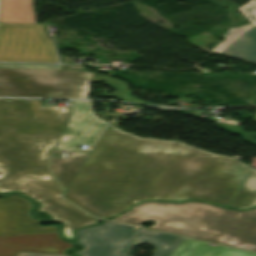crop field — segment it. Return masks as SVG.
<instances>
[{
	"label": "crop field",
	"mask_w": 256,
	"mask_h": 256,
	"mask_svg": "<svg viewBox=\"0 0 256 256\" xmlns=\"http://www.w3.org/2000/svg\"><path fill=\"white\" fill-rule=\"evenodd\" d=\"M252 167L177 141L139 138L109 125L66 191L92 216L114 217L149 199L228 207Z\"/></svg>",
	"instance_id": "1"
},
{
	"label": "crop field",
	"mask_w": 256,
	"mask_h": 256,
	"mask_svg": "<svg viewBox=\"0 0 256 256\" xmlns=\"http://www.w3.org/2000/svg\"><path fill=\"white\" fill-rule=\"evenodd\" d=\"M68 118V107L0 99V193L18 190L38 201L39 211L64 223V237L72 240L73 230L97 222L60 198L62 189L48 171L47 158Z\"/></svg>",
	"instance_id": "2"
},
{
	"label": "crop field",
	"mask_w": 256,
	"mask_h": 256,
	"mask_svg": "<svg viewBox=\"0 0 256 256\" xmlns=\"http://www.w3.org/2000/svg\"><path fill=\"white\" fill-rule=\"evenodd\" d=\"M112 220L137 226L153 220L150 229L256 252V210L238 212L199 202H145Z\"/></svg>",
	"instance_id": "3"
},
{
	"label": "crop field",
	"mask_w": 256,
	"mask_h": 256,
	"mask_svg": "<svg viewBox=\"0 0 256 256\" xmlns=\"http://www.w3.org/2000/svg\"><path fill=\"white\" fill-rule=\"evenodd\" d=\"M105 82L122 101L144 103L130 96L125 81L85 71L0 68V96L86 99L88 83Z\"/></svg>",
	"instance_id": "4"
},
{
	"label": "crop field",
	"mask_w": 256,
	"mask_h": 256,
	"mask_svg": "<svg viewBox=\"0 0 256 256\" xmlns=\"http://www.w3.org/2000/svg\"><path fill=\"white\" fill-rule=\"evenodd\" d=\"M0 61L57 62L42 25L0 24Z\"/></svg>",
	"instance_id": "5"
},
{
	"label": "crop field",
	"mask_w": 256,
	"mask_h": 256,
	"mask_svg": "<svg viewBox=\"0 0 256 256\" xmlns=\"http://www.w3.org/2000/svg\"><path fill=\"white\" fill-rule=\"evenodd\" d=\"M75 241L85 247L80 256H126L131 251L134 227L105 221L101 226L77 231Z\"/></svg>",
	"instance_id": "6"
},
{
	"label": "crop field",
	"mask_w": 256,
	"mask_h": 256,
	"mask_svg": "<svg viewBox=\"0 0 256 256\" xmlns=\"http://www.w3.org/2000/svg\"><path fill=\"white\" fill-rule=\"evenodd\" d=\"M72 119L56 149L80 151L81 144L92 145L107 122L94 116L91 101H70Z\"/></svg>",
	"instance_id": "7"
},
{
	"label": "crop field",
	"mask_w": 256,
	"mask_h": 256,
	"mask_svg": "<svg viewBox=\"0 0 256 256\" xmlns=\"http://www.w3.org/2000/svg\"><path fill=\"white\" fill-rule=\"evenodd\" d=\"M30 203L17 196L0 199V236L58 232L56 226L43 227L28 215Z\"/></svg>",
	"instance_id": "8"
},
{
	"label": "crop field",
	"mask_w": 256,
	"mask_h": 256,
	"mask_svg": "<svg viewBox=\"0 0 256 256\" xmlns=\"http://www.w3.org/2000/svg\"><path fill=\"white\" fill-rule=\"evenodd\" d=\"M73 244L60 240L58 233L0 237V251L64 254Z\"/></svg>",
	"instance_id": "9"
},
{
	"label": "crop field",
	"mask_w": 256,
	"mask_h": 256,
	"mask_svg": "<svg viewBox=\"0 0 256 256\" xmlns=\"http://www.w3.org/2000/svg\"><path fill=\"white\" fill-rule=\"evenodd\" d=\"M214 53L256 64V26L250 25L237 30Z\"/></svg>",
	"instance_id": "10"
},
{
	"label": "crop field",
	"mask_w": 256,
	"mask_h": 256,
	"mask_svg": "<svg viewBox=\"0 0 256 256\" xmlns=\"http://www.w3.org/2000/svg\"><path fill=\"white\" fill-rule=\"evenodd\" d=\"M207 244L185 238L170 256H256L255 253L247 251Z\"/></svg>",
	"instance_id": "11"
},
{
	"label": "crop field",
	"mask_w": 256,
	"mask_h": 256,
	"mask_svg": "<svg viewBox=\"0 0 256 256\" xmlns=\"http://www.w3.org/2000/svg\"><path fill=\"white\" fill-rule=\"evenodd\" d=\"M0 23L35 24L34 0H1Z\"/></svg>",
	"instance_id": "12"
},
{
	"label": "crop field",
	"mask_w": 256,
	"mask_h": 256,
	"mask_svg": "<svg viewBox=\"0 0 256 256\" xmlns=\"http://www.w3.org/2000/svg\"><path fill=\"white\" fill-rule=\"evenodd\" d=\"M184 238L138 228L135 246L148 243L156 247L153 256H169Z\"/></svg>",
	"instance_id": "13"
},
{
	"label": "crop field",
	"mask_w": 256,
	"mask_h": 256,
	"mask_svg": "<svg viewBox=\"0 0 256 256\" xmlns=\"http://www.w3.org/2000/svg\"><path fill=\"white\" fill-rule=\"evenodd\" d=\"M89 153H81L69 159L51 157L50 166L56 180L62 184L65 190L76 176Z\"/></svg>",
	"instance_id": "14"
},
{
	"label": "crop field",
	"mask_w": 256,
	"mask_h": 256,
	"mask_svg": "<svg viewBox=\"0 0 256 256\" xmlns=\"http://www.w3.org/2000/svg\"><path fill=\"white\" fill-rule=\"evenodd\" d=\"M256 206V170L252 168L241 188L229 205L230 208L245 209Z\"/></svg>",
	"instance_id": "15"
},
{
	"label": "crop field",
	"mask_w": 256,
	"mask_h": 256,
	"mask_svg": "<svg viewBox=\"0 0 256 256\" xmlns=\"http://www.w3.org/2000/svg\"><path fill=\"white\" fill-rule=\"evenodd\" d=\"M238 10L253 24H256V0H250Z\"/></svg>",
	"instance_id": "16"
},
{
	"label": "crop field",
	"mask_w": 256,
	"mask_h": 256,
	"mask_svg": "<svg viewBox=\"0 0 256 256\" xmlns=\"http://www.w3.org/2000/svg\"><path fill=\"white\" fill-rule=\"evenodd\" d=\"M0 67L62 69V65L0 63Z\"/></svg>",
	"instance_id": "17"
},
{
	"label": "crop field",
	"mask_w": 256,
	"mask_h": 256,
	"mask_svg": "<svg viewBox=\"0 0 256 256\" xmlns=\"http://www.w3.org/2000/svg\"><path fill=\"white\" fill-rule=\"evenodd\" d=\"M216 124L243 135L244 140L246 141H251L256 143V132L247 133L242 131L243 128H239V127H235V126H231V125H227L219 122H216Z\"/></svg>",
	"instance_id": "18"
},
{
	"label": "crop field",
	"mask_w": 256,
	"mask_h": 256,
	"mask_svg": "<svg viewBox=\"0 0 256 256\" xmlns=\"http://www.w3.org/2000/svg\"><path fill=\"white\" fill-rule=\"evenodd\" d=\"M18 256H68V255L34 254V253L19 252Z\"/></svg>",
	"instance_id": "19"
},
{
	"label": "crop field",
	"mask_w": 256,
	"mask_h": 256,
	"mask_svg": "<svg viewBox=\"0 0 256 256\" xmlns=\"http://www.w3.org/2000/svg\"><path fill=\"white\" fill-rule=\"evenodd\" d=\"M18 252H0V256H17Z\"/></svg>",
	"instance_id": "20"
},
{
	"label": "crop field",
	"mask_w": 256,
	"mask_h": 256,
	"mask_svg": "<svg viewBox=\"0 0 256 256\" xmlns=\"http://www.w3.org/2000/svg\"><path fill=\"white\" fill-rule=\"evenodd\" d=\"M234 29L235 27H231L223 36L226 38Z\"/></svg>",
	"instance_id": "21"
}]
</instances>
